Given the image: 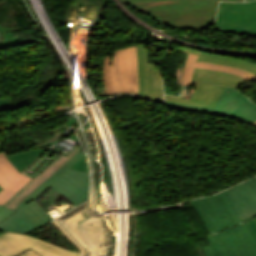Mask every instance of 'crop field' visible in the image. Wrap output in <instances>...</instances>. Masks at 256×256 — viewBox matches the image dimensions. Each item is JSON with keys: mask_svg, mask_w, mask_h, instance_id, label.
Masks as SVG:
<instances>
[{"mask_svg": "<svg viewBox=\"0 0 256 256\" xmlns=\"http://www.w3.org/2000/svg\"><path fill=\"white\" fill-rule=\"evenodd\" d=\"M190 203L211 235L207 237L211 246L203 247L206 256H234L224 237L236 232L251 256H256V239L245 222L256 217V177Z\"/></svg>", "mask_w": 256, "mask_h": 256, "instance_id": "obj_1", "label": "crop field"}, {"mask_svg": "<svg viewBox=\"0 0 256 256\" xmlns=\"http://www.w3.org/2000/svg\"><path fill=\"white\" fill-rule=\"evenodd\" d=\"M153 16L158 23L186 29L207 28L218 0H121ZM243 1V0H222Z\"/></svg>", "mask_w": 256, "mask_h": 256, "instance_id": "obj_2", "label": "crop field"}, {"mask_svg": "<svg viewBox=\"0 0 256 256\" xmlns=\"http://www.w3.org/2000/svg\"><path fill=\"white\" fill-rule=\"evenodd\" d=\"M246 81L248 80L233 74L195 68L190 85H197V87L191 99L185 100L168 95H165V98L171 102L213 109L225 88L236 89Z\"/></svg>", "mask_w": 256, "mask_h": 256, "instance_id": "obj_3", "label": "crop field"}, {"mask_svg": "<svg viewBox=\"0 0 256 256\" xmlns=\"http://www.w3.org/2000/svg\"><path fill=\"white\" fill-rule=\"evenodd\" d=\"M103 83L107 94L117 92L138 93L136 46L116 50L112 63L106 58Z\"/></svg>", "mask_w": 256, "mask_h": 256, "instance_id": "obj_4", "label": "crop field"}, {"mask_svg": "<svg viewBox=\"0 0 256 256\" xmlns=\"http://www.w3.org/2000/svg\"><path fill=\"white\" fill-rule=\"evenodd\" d=\"M68 155V154H67ZM84 156L80 145H75L67 157L60 155L41 173L35 176L16 195L8 200L3 206L15 211L25 203L34 199L50 183L61 176L68 168Z\"/></svg>", "mask_w": 256, "mask_h": 256, "instance_id": "obj_5", "label": "crop field"}, {"mask_svg": "<svg viewBox=\"0 0 256 256\" xmlns=\"http://www.w3.org/2000/svg\"><path fill=\"white\" fill-rule=\"evenodd\" d=\"M59 232L70 241L80 253L83 251L75 244L71 237L56 223L51 222ZM33 249L41 256H80L81 254L61 248L50 243L44 242L38 238L6 232L0 235V256H17L28 249Z\"/></svg>", "mask_w": 256, "mask_h": 256, "instance_id": "obj_6", "label": "crop field"}, {"mask_svg": "<svg viewBox=\"0 0 256 256\" xmlns=\"http://www.w3.org/2000/svg\"><path fill=\"white\" fill-rule=\"evenodd\" d=\"M216 30L256 35V1L247 3L221 2Z\"/></svg>", "mask_w": 256, "mask_h": 256, "instance_id": "obj_7", "label": "crop field"}, {"mask_svg": "<svg viewBox=\"0 0 256 256\" xmlns=\"http://www.w3.org/2000/svg\"><path fill=\"white\" fill-rule=\"evenodd\" d=\"M166 103L173 107L182 109L209 111L229 115L249 123L256 121V104L251 103V101H249L237 90L225 89L213 110L203 107L176 104L167 101Z\"/></svg>", "mask_w": 256, "mask_h": 256, "instance_id": "obj_8", "label": "crop field"}, {"mask_svg": "<svg viewBox=\"0 0 256 256\" xmlns=\"http://www.w3.org/2000/svg\"><path fill=\"white\" fill-rule=\"evenodd\" d=\"M75 206L88 199L87 156L50 184Z\"/></svg>", "mask_w": 256, "mask_h": 256, "instance_id": "obj_9", "label": "crop field"}, {"mask_svg": "<svg viewBox=\"0 0 256 256\" xmlns=\"http://www.w3.org/2000/svg\"><path fill=\"white\" fill-rule=\"evenodd\" d=\"M148 51L144 45H137L139 94L145 98L163 102V89L160 69L156 64H147Z\"/></svg>", "mask_w": 256, "mask_h": 256, "instance_id": "obj_10", "label": "crop field"}, {"mask_svg": "<svg viewBox=\"0 0 256 256\" xmlns=\"http://www.w3.org/2000/svg\"><path fill=\"white\" fill-rule=\"evenodd\" d=\"M31 178L21 174L5 157L0 156V205L16 194ZM4 205V204H3Z\"/></svg>", "mask_w": 256, "mask_h": 256, "instance_id": "obj_11", "label": "crop field"}, {"mask_svg": "<svg viewBox=\"0 0 256 256\" xmlns=\"http://www.w3.org/2000/svg\"><path fill=\"white\" fill-rule=\"evenodd\" d=\"M177 50L184 51L187 53L199 54L198 60H197L199 62H210V63L220 64V65L235 67V68H239L244 71H247L249 73H252L256 76V63H253V62H249V61H245V60H241L233 57L216 55V54L199 51V50H193V49L179 48Z\"/></svg>", "mask_w": 256, "mask_h": 256, "instance_id": "obj_12", "label": "crop field"}, {"mask_svg": "<svg viewBox=\"0 0 256 256\" xmlns=\"http://www.w3.org/2000/svg\"><path fill=\"white\" fill-rule=\"evenodd\" d=\"M197 56L198 55H194V54L188 55L187 63H186L185 69H184L182 84H187V85L190 84V80H191V76H192L194 67L230 72V73L236 74L238 76L244 77L248 80H251L252 78L255 77V76H253L247 72H244L242 70H239V69L210 64V63L196 62Z\"/></svg>", "mask_w": 256, "mask_h": 256, "instance_id": "obj_13", "label": "crop field"}, {"mask_svg": "<svg viewBox=\"0 0 256 256\" xmlns=\"http://www.w3.org/2000/svg\"><path fill=\"white\" fill-rule=\"evenodd\" d=\"M37 228L30 219L19 209L0 223V230L26 233Z\"/></svg>", "mask_w": 256, "mask_h": 256, "instance_id": "obj_14", "label": "crop field"}, {"mask_svg": "<svg viewBox=\"0 0 256 256\" xmlns=\"http://www.w3.org/2000/svg\"><path fill=\"white\" fill-rule=\"evenodd\" d=\"M20 209L34 222L37 227L53 220L34 200L30 201Z\"/></svg>", "mask_w": 256, "mask_h": 256, "instance_id": "obj_15", "label": "crop field"}, {"mask_svg": "<svg viewBox=\"0 0 256 256\" xmlns=\"http://www.w3.org/2000/svg\"><path fill=\"white\" fill-rule=\"evenodd\" d=\"M47 148L37 149L29 152L16 153L8 155L7 158L14 164V166L21 172L29 164H31L40 154H42Z\"/></svg>", "mask_w": 256, "mask_h": 256, "instance_id": "obj_16", "label": "crop field"}, {"mask_svg": "<svg viewBox=\"0 0 256 256\" xmlns=\"http://www.w3.org/2000/svg\"><path fill=\"white\" fill-rule=\"evenodd\" d=\"M226 239L230 243L235 256H250L238 233L228 236Z\"/></svg>", "mask_w": 256, "mask_h": 256, "instance_id": "obj_17", "label": "crop field"}, {"mask_svg": "<svg viewBox=\"0 0 256 256\" xmlns=\"http://www.w3.org/2000/svg\"><path fill=\"white\" fill-rule=\"evenodd\" d=\"M4 41L0 42V49L16 46L17 37H12V33L4 34Z\"/></svg>", "mask_w": 256, "mask_h": 256, "instance_id": "obj_18", "label": "crop field"}, {"mask_svg": "<svg viewBox=\"0 0 256 256\" xmlns=\"http://www.w3.org/2000/svg\"><path fill=\"white\" fill-rule=\"evenodd\" d=\"M92 3L98 6V15L97 17H102L103 12L107 6L108 0H90Z\"/></svg>", "mask_w": 256, "mask_h": 256, "instance_id": "obj_19", "label": "crop field"}, {"mask_svg": "<svg viewBox=\"0 0 256 256\" xmlns=\"http://www.w3.org/2000/svg\"><path fill=\"white\" fill-rule=\"evenodd\" d=\"M93 172H94L95 184L97 186L99 179H101V174H100V165L95 160H93Z\"/></svg>", "mask_w": 256, "mask_h": 256, "instance_id": "obj_20", "label": "crop field"}, {"mask_svg": "<svg viewBox=\"0 0 256 256\" xmlns=\"http://www.w3.org/2000/svg\"><path fill=\"white\" fill-rule=\"evenodd\" d=\"M12 213H13V211H11L3 206H0V222L2 220H4L5 218H7Z\"/></svg>", "mask_w": 256, "mask_h": 256, "instance_id": "obj_21", "label": "crop field"}, {"mask_svg": "<svg viewBox=\"0 0 256 256\" xmlns=\"http://www.w3.org/2000/svg\"><path fill=\"white\" fill-rule=\"evenodd\" d=\"M248 226L256 237V218L247 221Z\"/></svg>", "mask_w": 256, "mask_h": 256, "instance_id": "obj_22", "label": "crop field"}, {"mask_svg": "<svg viewBox=\"0 0 256 256\" xmlns=\"http://www.w3.org/2000/svg\"><path fill=\"white\" fill-rule=\"evenodd\" d=\"M19 256H40V255H38L36 252L30 249Z\"/></svg>", "mask_w": 256, "mask_h": 256, "instance_id": "obj_23", "label": "crop field"}, {"mask_svg": "<svg viewBox=\"0 0 256 256\" xmlns=\"http://www.w3.org/2000/svg\"><path fill=\"white\" fill-rule=\"evenodd\" d=\"M163 83H164V90H165V93L170 94V95H173L171 89L168 88L167 85H166L165 78L163 79Z\"/></svg>", "mask_w": 256, "mask_h": 256, "instance_id": "obj_24", "label": "crop field"}, {"mask_svg": "<svg viewBox=\"0 0 256 256\" xmlns=\"http://www.w3.org/2000/svg\"><path fill=\"white\" fill-rule=\"evenodd\" d=\"M0 31H1L2 33H4V32H6V31H10V29H9V28H6V27H3V26H0Z\"/></svg>", "mask_w": 256, "mask_h": 256, "instance_id": "obj_25", "label": "crop field"}, {"mask_svg": "<svg viewBox=\"0 0 256 256\" xmlns=\"http://www.w3.org/2000/svg\"><path fill=\"white\" fill-rule=\"evenodd\" d=\"M252 123V122H251ZM253 124H256V122H254Z\"/></svg>", "mask_w": 256, "mask_h": 256, "instance_id": "obj_26", "label": "crop field"}, {"mask_svg": "<svg viewBox=\"0 0 256 256\" xmlns=\"http://www.w3.org/2000/svg\"><path fill=\"white\" fill-rule=\"evenodd\" d=\"M246 1H250V0H246Z\"/></svg>", "mask_w": 256, "mask_h": 256, "instance_id": "obj_27", "label": "crop field"}, {"mask_svg": "<svg viewBox=\"0 0 256 256\" xmlns=\"http://www.w3.org/2000/svg\"><path fill=\"white\" fill-rule=\"evenodd\" d=\"M0 190H2V189L0 188Z\"/></svg>", "mask_w": 256, "mask_h": 256, "instance_id": "obj_28", "label": "crop field"}]
</instances>
